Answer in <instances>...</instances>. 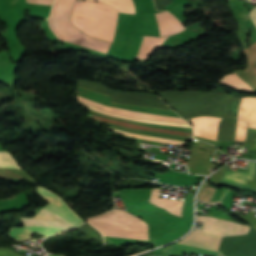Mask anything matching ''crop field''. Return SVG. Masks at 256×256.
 <instances>
[{"label": "crop field", "mask_w": 256, "mask_h": 256, "mask_svg": "<svg viewBox=\"0 0 256 256\" xmlns=\"http://www.w3.org/2000/svg\"><path fill=\"white\" fill-rule=\"evenodd\" d=\"M88 221L103 235L148 239L146 223L122 210L114 209L101 216L92 217Z\"/></svg>", "instance_id": "dd49c442"}, {"label": "crop field", "mask_w": 256, "mask_h": 256, "mask_svg": "<svg viewBox=\"0 0 256 256\" xmlns=\"http://www.w3.org/2000/svg\"><path fill=\"white\" fill-rule=\"evenodd\" d=\"M160 189H153L150 202L166 208L169 212L181 215L182 201L158 198Z\"/></svg>", "instance_id": "28ad6ade"}, {"label": "crop field", "mask_w": 256, "mask_h": 256, "mask_svg": "<svg viewBox=\"0 0 256 256\" xmlns=\"http://www.w3.org/2000/svg\"><path fill=\"white\" fill-rule=\"evenodd\" d=\"M249 16L251 18V20L253 21V23L256 26V7H254L251 12L249 13Z\"/></svg>", "instance_id": "730fd06b"}, {"label": "crop field", "mask_w": 256, "mask_h": 256, "mask_svg": "<svg viewBox=\"0 0 256 256\" xmlns=\"http://www.w3.org/2000/svg\"><path fill=\"white\" fill-rule=\"evenodd\" d=\"M0 256H19L15 252L11 251L8 248H1L0 249ZM49 256H56V255H49Z\"/></svg>", "instance_id": "a9b5d70f"}, {"label": "crop field", "mask_w": 256, "mask_h": 256, "mask_svg": "<svg viewBox=\"0 0 256 256\" xmlns=\"http://www.w3.org/2000/svg\"><path fill=\"white\" fill-rule=\"evenodd\" d=\"M0 168L21 169L8 152H0Z\"/></svg>", "instance_id": "92a150f3"}, {"label": "crop field", "mask_w": 256, "mask_h": 256, "mask_svg": "<svg viewBox=\"0 0 256 256\" xmlns=\"http://www.w3.org/2000/svg\"><path fill=\"white\" fill-rule=\"evenodd\" d=\"M197 221L203 222L202 230L194 229L178 243L217 251L222 236L240 235L249 230L246 225L209 216H197Z\"/></svg>", "instance_id": "f4fd0767"}, {"label": "crop field", "mask_w": 256, "mask_h": 256, "mask_svg": "<svg viewBox=\"0 0 256 256\" xmlns=\"http://www.w3.org/2000/svg\"><path fill=\"white\" fill-rule=\"evenodd\" d=\"M118 134L121 135H126V136H131V137H137V138H142V139H147V140H152V141H157V142H162V143H171V144H176L182 146L184 142L178 141V140H172V139H165V138H157V137H150V136H142V135H136L128 132H124L118 129L106 127Z\"/></svg>", "instance_id": "4a817a6b"}, {"label": "crop field", "mask_w": 256, "mask_h": 256, "mask_svg": "<svg viewBox=\"0 0 256 256\" xmlns=\"http://www.w3.org/2000/svg\"><path fill=\"white\" fill-rule=\"evenodd\" d=\"M155 15L161 36L175 34L184 30L183 25L172 14L163 12Z\"/></svg>", "instance_id": "3316defc"}, {"label": "crop field", "mask_w": 256, "mask_h": 256, "mask_svg": "<svg viewBox=\"0 0 256 256\" xmlns=\"http://www.w3.org/2000/svg\"><path fill=\"white\" fill-rule=\"evenodd\" d=\"M42 199L50 202L36 217L21 218L25 227L9 228L6 235L13 239L30 238L32 233L46 237L65 233L84 223L56 194L37 187Z\"/></svg>", "instance_id": "8a807250"}, {"label": "crop field", "mask_w": 256, "mask_h": 256, "mask_svg": "<svg viewBox=\"0 0 256 256\" xmlns=\"http://www.w3.org/2000/svg\"><path fill=\"white\" fill-rule=\"evenodd\" d=\"M167 37L154 38L144 37L142 45L140 47L138 58L149 59L153 52L161 45Z\"/></svg>", "instance_id": "cbeb9de0"}, {"label": "crop field", "mask_w": 256, "mask_h": 256, "mask_svg": "<svg viewBox=\"0 0 256 256\" xmlns=\"http://www.w3.org/2000/svg\"><path fill=\"white\" fill-rule=\"evenodd\" d=\"M236 120L235 118L221 119L218 126L217 140H234Z\"/></svg>", "instance_id": "22f410ed"}, {"label": "crop field", "mask_w": 256, "mask_h": 256, "mask_svg": "<svg viewBox=\"0 0 256 256\" xmlns=\"http://www.w3.org/2000/svg\"><path fill=\"white\" fill-rule=\"evenodd\" d=\"M215 191L216 188L212 187L208 184V182H206L200 190L198 199L204 200L209 203Z\"/></svg>", "instance_id": "dafd665d"}, {"label": "crop field", "mask_w": 256, "mask_h": 256, "mask_svg": "<svg viewBox=\"0 0 256 256\" xmlns=\"http://www.w3.org/2000/svg\"><path fill=\"white\" fill-rule=\"evenodd\" d=\"M2 102H0V104H1Z\"/></svg>", "instance_id": "ae1a2a85"}, {"label": "crop field", "mask_w": 256, "mask_h": 256, "mask_svg": "<svg viewBox=\"0 0 256 256\" xmlns=\"http://www.w3.org/2000/svg\"><path fill=\"white\" fill-rule=\"evenodd\" d=\"M162 99L184 119L198 115L223 117L228 94L200 91H160Z\"/></svg>", "instance_id": "ac0d7876"}, {"label": "crop field", "mask_w": 256, "mask_h": 256, "mask_svg": "<svg viewBox=\"0 0 256 256\" xmlns=\"http://www.w3.org/2000/svg\"><path fill=\"white\" fill-rule=\"evenodd\" d=\"M71 21L87 35L112 41L117 11L99 2L77 1Z\"/></svg>", "instance_id": "34b2d1b8"}, {"label": "crop field", "mask_w": 256, "mask_h": 256, "mask_svg": "<svg viewBox=\"0 0 256 256\" xmlns=\"http://www.w3.org/2000/svg\"><path fill=\"white\" fill-rule=\"evenodd\" d=\"M246 143H249V146L256 147V129L249 128Z\"/></svg>", "instance_id": "00972430"}, {"label": "crop field", "mask_w": 256, "mask_h": 256, "mask_svg": "<svg viewBox=\"0 0 256 256\" xmlns=\"http://www.w3.org/2000/svg\"><path fill=\"white\" fill-rule=\"evenodd\" d=\"M219 82L237 90V91H248V92H254L252 88L247 85L245 82H243L236 74L235 72L224 76L222 79L219 80Z\"/></svg>", "instance_id": "5142ce71"}, {"label": "crop field", "mask_w": 256, "mask_h": 256, "mask_svg": "<svg viewBox=\"0 0 256 256\" xmlns=\"http://www.w3.org/2000/svg\"><path fill=\"white\" fill-rule=\"evenodd\" d=\"M194 135L216 140L217 125L220 118L201 116L190 119Z\"/></svg>", "instance_id": "5a996713"}, {"label": "crop field", "mask_w": 256, "mask_h": 256, "mask_svg": "<svg viewBox=\"0 0 256 256\" xmlns=\"http://www.w3.org/2000/svg\"><path fill=\"white\" fill-rule=\"evenodd\" d=\"M87 117H89L91 119H94V120L106 122V123H114V124H117V125L131 127V128L140 129V130L159 132V133H167V134H173V135H181V136H187V137L192 135V133H188V132L160 130L161 128L160 129H154V128H149V127L136 126V125H132V124H129V123L120 122V121L111 120V119H106V118L98 117V116L91 115V114L87 115Z\"/></svg>", "instance_id": "d1516ede"}, {"label": "crop field", "mask_w": 256, "mask_h": 256, "mask_svg": "<svg viewBox=\"0 0 256 256\" xmlns=\"http://www.w3.org/2000/svg\"><path fill=\"white\" fill-rule=\"evenodd\" d=\"M55 0H26L29 3L51 5Z\"/></svg>", "instance_id": "4177f3b9"}, {"label": "crop field", "mask_w": 256, "mask_h": 256, "mask_svg": "<svg viewBox=\"0 0 256 256\" xmlns=\"http://www.w3.org/2000/svg\"><path fill=\"white\" fill-rule=\"evenodd\" d=\"M74 2L75 0H57L48 18L50 28L60 39L106 53L110 42L89 37L70 23L69 17Z\"/></svg>", "instance_id": "412701ff"}, {"label": "crop field", "mask_w": 256, "mask_h": 256, "mask_svg": "<svg viewBox=\"0 0 256 256\" xmlns=\"http://www.w3.org/2000/svg\"><path fill=\"white\" fill-rule=\"evenodd\" d=\"M77 87L95 91L107 96L110 95L111 102L114 103L172 110L154 94L114 91L101 83L88 80H77Z\"/></svg>", "instance_id": "e52e79f7"}, {"label": "crop field", "mask_w": 256, "mask_h": 256, "mask_svg": "<svg viewBox=\"0 0 256 256\" xmlns=\"http://www.w3.org/2000/svg\"><path fill=\"white\" fill-rule=\"evenodd\" d=\"M253 169H254V163L249 162L248 173L226 171L223 180L247 185V180H252L253 178Z\"/></svg>", "instance_id": "d9b57169"}, {"label": "crop field", "mask_w": 256, "mask_h": 256, "mask_svg": "<svg viewBox=\"0 0 256 256\" xmlns=\"http://www.w3.org/2000/svg\"><path fill=\"white\" fill-rule=\"evenodd\" d=\"M115 7L118 12L135 14L132 0H97Z\"/></svg>", "instance_id": "733c2abd"}, {"label": "crop field", "mask_w": 256, "mask_h": 256, "mask_svg": "<svg viewBox=\"0 0 256 256\" xmlns=\"http://www.w3.org/2000/svg\"><path fill=\"white\" fill-rule=\"evenodd\" d=\"M241 97L230 95L224 117H237Z\"/></svg>", "instance_id": "214f88e0"}, {"label": "crop field", "mask_w": 256, "mask_h": 256, "mask_svg": "<svg viewBox=\"0 0 256 256\" xmlns=\"http://www.w3.org/2000/svg\"><path fill=\"white\" fill-rule=\"evenodd\" d=\"M78 103L90 108V109H93V110H96V111H99V112H102V113H105V114H109V115H113V116H117V117H120V118H124V119H128V120H135V121H143V122H147V123H156V124H166V125H174V126H185V127H191L189 124H182V123H168V122H159V121H153V120H144V119H136V118H130V117H126V116H122V115H118V114H113V113H109V112H105V111H102L98 108H95L91 105H88V104H85L83 102H80V101H77Z\"/></svg>", "instance_id": "bc2a9ffb"}, {"label": "crop field", "mask_w": 256, "mask_h": 256, "mask_svg": "<svg viewBox=\"0 0 256 256\" xmlns=\"http://www.w3.org/2000/svg\"><path fill=\"white\" fill-rule=\"evenodd\" d=\"M76 98L80 101H83L85 103L91 104L95 107H98L102 110H106L113 113L123 114L131 117H137V118H145V119H155V120H166V121H175V122H184L187 123L185 120L177 117H170V116H163V115H155V114H148V113H141V112H135V111H129L124 110L120 108H114L109 107L105 105L98 104L96 102L90 101L88 99L82 98L80 96H76Z\"/></svg>", "instance_id": "d8731c3e"}, {"label": "crop field", "mask_w": 256, "mask_h": 256, "mask_svg": "<svg viewBox=\"0 0 256 256\" xmlns=\"http://www.w3.org/2000/svg\"><path fill=\"white\" fill-rule=\"evenodd\" d=\"M0 150L1 151H6L1 145H0Z\"/></svg>", "instance_id": "eef30255"}]
</instances>
